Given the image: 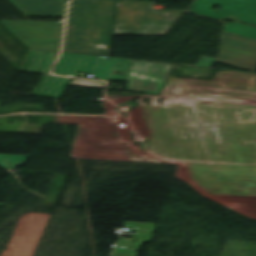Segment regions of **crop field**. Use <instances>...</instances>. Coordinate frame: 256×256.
<instances>
[{
	"mask_svg": "<svg viewBox=\"0 0 256 256\" xmlns=\"http://www.w3.org/2000/svg\"><path fill=\"white\" fill-rule=\"evenodd\" d=\"M173 65L134 61L125 81L127 92L158 95Z\"/></svg>",
	"mask_w": 256,
	"mask_h": 256,
	"instance_id": "crop-field-8",
	"label": "crop field"
},
{
	"mask_svg": "<svg viewBox=\"0 0 256 256\" xmlns=\"http://www.w3.org/2000/svg\"><path fill=\"white\" fill-rule=\"evenodd\" d=\"M68 81L67 78L43 75L33 96L60 99Z\"/></svg>",
	"mask_w": 256,
	"mask_h": 256,
	"instance_id": "crop-field-15",
	"label": "crop field"
},
{
	"mask_svg": "<svg viewBox=\"0 0 256 256\" xmlns=\"http://www.w3.org/2000/svg\"><path fill=\"white\" fill-rule=\"evenodd\" d=\"M165 1H173V0H165Z\"/></svg>",
	"mask_w": 256,
	"mask_h": 256,
	"instance_id": "crop-field-23",
	"label": "crop field"
},
{
	"mask_svg": "<svg viewBox=\"0 0 256 256\" xmlns=\"http://www.w3.org/2000/svg\"><path fill=\"white\" fill-rule=\"evenodd\" d=\"M150 141H151V145H152L153 151L158 153V151H157V149H156V146H155V143H154V141H153V138H151Z\"/></svg>",
	"mask_w": 256,
	"mask_h": 256,
	"instance_id": "crop-field-21",
	"label": "crop field"
},
{
	"mask_svg": "<svg viewBox=\"0 0 256 256\" xmlns=\"http://www.w3.org/2000/svg\"><path fill=\"white\" fill-rule=\"evenodd\" d=\"M191 179L211 194L256 197V169L190 166Z\"/></svg>",
	"mask_w": 256,
	"mask_h": 256,
	"instance_id": "crop-field-3",
	"label": "crop field"
},
{
	"mask_svg": "<svg viewBox=\"0 0 256 256\" xmlns=\"http://www.w3.org/2000/svg\"><path fill=\"white\" fill-rule=\"evenodd\" d=\"M124 225L131 227V231H137L135 241L120 238L112 256H137L136 251L140 249L143 243L151 241L157 224L125 222Z\"/></svg>",
	"mask_w": 256,
	"mask_h": 256,
	"instance_id": "crop-field-11",
	"label": "crop field"
},
{
	"mask_svg": "<svg viewBox=\"0 0 256 256\" xmlns=\"http://www.w3.org/2000/svg\"><path fill=\"white\" fill-rule=\"evenodd\" d=\"M161 140V139H160ZM162 143V142H161ZM163 147V146H162ZM164 151V150H163ZM165 154V153H164ZM166 158V157H165Z\"/></svg>",
	"mask_w": 256,
	"mask_h": 256,
	"instance_id": "crop-field-24",
	"label": "crop field"
},
{
	"mask_svg": "<svg viewBox=\"0 0 256 256\" xmlns=\"http://www.w3.org/2000/svg\"><path fill=\"white\" fill-rule=\"evenodd\" d=\"M29 48L58 51L63 24L1 20Z\"/></svg>",
	"mask_w": 256,
	"mask_h": 256,
	"instance_id": "crop-field-7",
	"label": "crop field"
},
{
	"mask_svg": "<svg viewBox=\"0 0 256 256\" xmlns=\"http://www.w3.org/2000/svg\"><path fill=\"white\" fill-rule=\"evenodd\" d=\"M57 54L29 50L19 71L48 74Z\"/></svg>",
	"mask_w": 256,
	"mask_h": 256,
	"instance_id": "crop-field-14",
	"label": "crop field"
},
{
	"mask_svg": "<svg viewBox=\"0 0 256 256\" xmlns=\"http://www.w3.org/2000/svg\"><path fill=\"white\" fill-rule=\"evenodd\" d=\"M150 103H158L157 98L149 97Z\"/></svg>",
	"mask_w": 256,
	"mask_h": 256,
	"instance_id": "crop-field-22",
	"label": "crop field"
},
{
	"mask_svg": "<svg viewBox=\"0 0 256 256\" xmlns=\"http://www.w3.org/2000/svg\"><path fill=\"white\" fill-rule=\"evenodd\" d=\"M27 157L28 156L0 154V166H3L5 168L17 169L18 166H23Z\"/></svg>",
	"mask_w": 256,
	"mask_h": 256,
	"instance_id": "crop-field-19",
	"label": "crop field"
},
{
	"mask_svg": "<svg viewBox=\"0 0 256 256\" xmlns=\"http://www.w3.org/2000/svg\"><path fill=\"white\" fill-rule=\"evenodd\" d=\"M184 12L152 10V1L116 0L113 35L166 36Z\"/></svg>",
	"mask_w": 256,
	"mask_h": 256,
	"instance_id": "crop-field-2",
	"label": "crop field"
},
{
	"mask_svg": "<svg viewBox=\"0 0 256 256\" xmlns=\"http://www.w3.org/2000/svg\"><path fill=\"white\" fill-rule=\"evenodd\" d=\"M115 0H73L64 51L110 57Z\"/></svg>",
	"mask_w": 256,
	"mask_h": 256,
	"instance_id": "crop-field-1",
	"label": "crop field"
},
{
	"mask_svg": "<svg viewBox=\"0 0 256 256\" xmlns=\"http://www.w3.org/2000/svg\"><path fill=\"white\" fill-rule=\"evenodd\" d=\"M214 61L254 72L256 41L224 33L219 57L203 56L195 66L210 68Z\"/></svg>",
	"mask_w": 256,
	"mask_h": 256,
	"instance_id": "crop-field-6",
	"label": "crop field"
},
{
	"mask_svg": "<svg viewBox=\"0 0 256 256\" xmlns=\"http://www.w3.org/2000/svg\"><path fill=\"white\" fill-rule=\"evenodd\" d=\"M182 79L170 77L162 98H200L219 101L256 104V85L216 81L211 90L178 88ZM201 166L256 168L255 166L218 165L191 163Z\"/></svg>",
	"mask_w": 256,
	"mask_h": 256,
	"instance_id": "crop-field-4",
	"label": "crop field"
},
{
	"mask_svg": "<svg viewBox=\"0 0 256 256\" xmlns=\"http://www.w3.org/2000/svg\"><path fill=\"white\" fill-rule=\"evenodd\" d=\"M24 15L64 17L67 0H9Z\"/></svg>",
	"mask_w": 256,
	"mask_h": 256,
	"instance_id": "crop-field-12",
	"label": "crop field"
},
{
	"mask_svg": "<svg viewBox=\"0 0 256 256\" xmlns=\"http://www.w3.org/2000/svg\"><path fill=\"white\" fill-rule=\"evenodd\" d=\"M112 120H113V123H114V126H115L114 119H112ZM95 121L97 123L98 129H99V132H100L98 137H117L118 136L117 130H116L117 134H108L103 118L96 117ZM115 129H116V126H115ZM93 131H94V128H93L90 136H96V135H92ZM89 143H90V138L88 140L87 146H86L84 154L82 156L84 158L89 157ZM120 143H123V144L127 145L128 149H129V152H138L142 157H144L145 159H147V160H149L153 163L176 164V163L167 162V161L163 162L162 160H160L159 158H157L153 154L147 152L146 150L141 151L140 148H139V143H137L136 146H134L133 143H124V142H121V141L118 140V144H120Z\"/></svg>",
	"mask_w": 256,
	"mask_h": 256,
	"instance_id": "crop-field-16",
	"label": "crop field"
},
{
	"mask_svg": "<svg viewBox=\"0 0 256 256\" xmlns=\"http://www.w3.org/2000/svg\"><path fill=\"white\" fill-rule=\"evenodd\" d=\"M225 31L256 39V27L240 24L237 22L226 23Z\"/></svg>",
	"mask_w": 256,
	"mask_h": 256,
	"instance_id": "crop-field-18",
	"label": "crop field"
},
{
	"mask_svg": "<svg viewBox=\"0 0 256 256\" xmlns=\"http://www.w3.org/2000/svg\"><path fill=\"white\" fill-rule=\"evenodd\" d=\"M116 141L117 138L91 137L90 150L122 151Z\"/></svg>",
	"mask_w": 256,
	"mask_h": 256,
	"instance_id": "crop-field-17",
	"label": "crop field"
},
{
	"mask_svg": "<svg viewBox=\"0 0 256 256\" xmlns=\"http://www.w3.org/2000/svg\"><path fill=\"white\" fill-rule=\"evenodd\" d=\"M94 119L95 117L86 116H58L57 123L80 124L71 158L84 159L81 156L92 130ZM120 146L123 152L90 151L88 159L150 163L138 153H128L127 146L122 144Z\"/></svg>",
	"mask_w": 256,
	"mask_h": 256,
	"instance_id": "crop-field-9",
	"label": "crop field"
},
{
	"mask_svg": "<svg viewBox=\"0 0 256 256\" xmlns=\"http://www.w3.org/2000/svg\"><path fill=\"white\" fill-rule=\"evenodd\" d=\"M131 63L130 60L62 53L53 74L76 77L78 71H84L97 75L100 80H123ZM113 70L124 71L123 76L112 74Z\"/></svg>",
	"mask_w": 256,
	"mask_h": 256,
	"instance_id": "crop-field-5",
	"label": "crop field"
},
{
	"mask_svg": "<svg viewBox=\"0 0 256 256\" xmlns=\"http://www.w3.org/2000/svg\"><path fill=\"white\" fill-rule=\"evenodd\" d=\"M214 4L220 10H212ZM189 12L221 19L229 18L256 25V0H197Z\"/></svg>",
	"mask_w": 256,
	"mask_h": 256,
	"instance_id": "crop-field-10",
	"label": "crop field"
},
{
	"mask_svg": "<svg viewBox=\"0 0 256 256\" xmlns=\"http://www.w3.org/2000/svg\"><path fill=\"white\" fill-rule=\"evenodd\" d=\"M70 85L103 88L104 83L95 81L73 80Z\"/></svg>",
	"mask_w": 256,
	"mask_h": 256,
	"instance_id": "crop-field-20",
	"label": "crop field"
},
{
	"mask_svg": "<svg viewBox=\"0 0 256 256\" xmlns=\"http://www.w3.org/2000/svg\"><path fill=\"white\" fill-rule=\"evenodd\" d=\"M216 80L256 84V74L233 71L216 72L212 81L184 78L180 87L211 89Z\"/></svg>",
	"mask_w": 256,
	"mask_h": 256,
	"instance_id": "crop-field-13",
	"label": "crop field"
}]
</instances>
